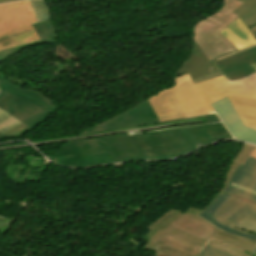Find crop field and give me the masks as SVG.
<instances>
[{"mask_svg":"<svg viewBox=\"0 0 256 256\" xmlns=\"http://www.w3.org/2000/svg\"><path fill=\"white\" fill-rule=\"evenodd\" d=\"M176 153L158 133L118 135L67 142L55 155L58 164L87 167L126 160H167Z\"/></svg>","mask_w":256,"mask_h":256,"instance_id":"1","label":"crop field"},{"mask_svg":"<svg viewBox=\"0 0 256 256\" xmlns=\"http://www.w3.org/2000/svg\"><path fill=\"white\" fill-rule=\"evenodd\" d=\"M174 82V88L187 117L213 113L209 104L225 96L256 100V74L234 83H229L221 75L196 84L185 74L175 78Z\"/></svg>","mask_w":256,"mask_h":256,"instance_id":"2","label":"crop field"},{"mask_svg":"<svg viewBox=\"0 0 256 256\" xmlns=\"http://www.w3.org/2000/svg\"><path fill=\"white\" fill-rule=\"evenodd\" d=\"M221 29L206 19L195 24L194 46L188 58L178 66L175 77L188 73L193 79L219 70L209 61L237 50L218 32Z\"/></svg>","mask_w":256,"mask_h":256,"instance_id":"3","label":"crop field"},{"mask_svg":"<svg viewBox=\"0 0 256 256\" xmlns=\"http://www.w3.org/2000/svg\"><path fill=\"white\" fill-rule=\"evenodd\" d=\"M0 108L33 128L57 106L40 92L17 87L0 74Z\"/></svg>","mask_w":256,"mask_h":256,"instance_id":"4","label":"crop field"},{"mask_svg":"<svg viewBox=\"0 0 256 256\" xmlns=\"http://www.w3.org/2000/svg\"><path fill=\"white\" fill-rule=\"evenodd\" d=\"M197 216L227 233L256 241V235L233 228L245 217L256 220V203L220 192Z\"/></svg>","mask_w":256,"mask_h":256,"instance_id":"5","label":"crop field"},{"mask_svg":"<svg viewBox=\"0 0 256 256\" xmlns=\"http://www.w3.org/2000/svg\"><path fill=\"white\" fill-rule=\"evenodd\" d=\"M29 1H18L0 5V51L39 38L31 23H36Z\"/></svg>","mask_w":256,"mask_h":256,"instance_id":"6","label":"crop field"},{"mask_svg":"<svg viewBox=\"0 0 256 256\" xmlns=\"http://www.w3.org/2000/svg\"><path fill=\"white\" fill-rule=\"evenodd\" d=\"M159 133L178 156L223 138L233 139L221 123L161 130ZM201 146H197L198 144Z\"/></svg>","mask_w":256,"mask_h":256,"instance_id":"7","label":"crop field"},{"mask_svg":"<svg viewBox=\"0 0 256 256\" xmlns=\"http://www.w3.org/2000/svg\"><path fill=\"white\" fill-rule=\"evenodd\" d=\"M201 117H205L207 123L220 121L216 114H210V115L199 116L194 118H201ZM184 119H187V118H184ZM184 119H180V120H184ZM148 123L155 124L159 122L146 99L138 103L134 107L114 117H111L101 123H98L92 126L91 128L81 132L80 135L104 131V130L140 125V124H148Z\"/></svg>","mask_w":256,"mask_h":256,"instance_id":"8","label":"crop field"},{"mask_svg":"<svg viewBox=\"0 0 256 256\" xmlns=\"http://www.w3.org/2000/svg\"><path fill=\"white\" fill-rule=\"evenodd\" d=\"M169 225L174 226L169 233L198 243L202 246L209 240L216 227L208 224L199 217L184 213Z\"/></svg>","mask_w":256,"mask_h":256,"instance_id":"9","label":"crop field"},{"mask_svg":"<svg viewBox=\"0 0 256 256\" xmlns=\"http://www.w3.org/2000/svg\"><path fill=\"white\" fill-rule=\"evenodd\" d=\"M213 62L230 81L244 79L256 72L251 66L256 64V47Z\"/></svg>","mask_w":256,"mask_h":256,"instance_id":"10","label":"crop field"},{"mask_svg":"<svg viewBox=\"0 0 256 256\" xmlns=\"http://www.w3.org/2000/svg\"><path fill=\"white\" fill-rule=\"evenodd\" d=\"M211 106L235 139L256 145V131L243 125L227 97Z\"/></svg>","mask_w":256,"mask_h":256,"instance_id":"11","label":"crop field"},{"mask_svg":"<svg viewBox=\"0 0 256 256\" xmlns=\"http://www.w3.org/2000/svg\"><path fill=\"white\" fill-rule=\"evenodd\" d=\"M148 100L160 122L186 117L173 87Z\"/></svg>","mask_w":256,"mask_h":256,"instance_id":"12","label":"crop field"},{"mask_svg":"<svg viewBox=\"0 0 256 256\" xmlns=\"http://www.w3.org/2000/svg\"><path fill=\"white\" fill-rule=\"evenodd\" d=\"M231 182L256 190V159L249 156L243 166L239 165L232 179L224 189L226 193L256 202V195L229 186Z\"/></svg>","mask_w":256,"mask_h":256,"instance_id":"13","label":"crop field"},{"mask_svg":"<svg viewBox=\"0 0 256 256\" xmlns=\"http://www.w3.org/2000/svg\"><path fill=\"white\" fill-rule=\"evenodd\" d=\"M207 244L235 256H251L256 247L255 241L238 238L219 229H216Z\"/></svg>","mask_w":256,"mask_h":256,"instance_id":"14","label":"crop field"},{"mask_svg":"<svg viewBox=\"0 0 256 256\" xmlns=\"http://www.w3.org/2000/svg\"><path fill=\"white\" fill-rule=\"evenodd\" d=\"M171 228L172 226L167 225L164 229H160L157 233L155 232L156 234L149 239L143 249L150 250L158 243L186 254L197 256L203 247L167 233Z\"/></svg>","mask_w":256,"mask_h":256,"instance_id":"15","label":"crop field"},{"mask_svg":"<svg viewBox=\"0 0 256 256\" xmlns=\"http://www.w3.org/2000/svg\"><path fill=\"white\" fill-rule=\"evenodd\" d=\"M219 32L237 49L256 43V40L254 39L255 37L253 38L249 29L244 25L239 17Z\"/></svg>","mask_w":256,"mask_h":256,"instance_id":"16","label":"crop field"},{"mask_svg":"<svg viewBox=\"0 0 256 256\" xmlns=\"http://www.w3.org/2000/svg\"><path fill=\"white\" fill-rule=\"evenodd\" d=\"M244 124L256 130V101L228 97Z\"/></svg>","mask_w":256,"mask_h":256,"instance_id":"17","label":"crop field"},{"mask_svg":"<svg viewBox=\"0 0 256 256\" xmlns=\"http://www.w3.org/2000/svg\"><path fill=\"white\" fill-rule=\"evenodd\" d=\"M241 4L243 3L238 0H225L223 7L216 14L206 19L224 28L238 17L232 12Z\"/></svg>","mask_w":256,"mask_h":256,"instance_id":"18","label":"crop field"},{"mask_svg":"<svg viewBox=\"0 0 256 256\" xmlns=\"http://www.w3.org/2000/svg\"><path fill=\"white\" fill-rule=\"evenodd\" d=\"M36 33L38 34L41 41L38 42H32L27 45L21 46V48L41 44V43H55L56 42V36L54 32V26L51 22V20L40 23V24H32Z\"/></svg>","mask_w":256,"mask_h":256,"instance_id":"19","label":"crop field"},{"mask_svg":"<svg viewBox=\"0 0 256 256\" xmlns=\"http://www.w3.org/2000/svg\"><path fill=\"white\" fill-rule=\"evenodd\" d=\"M183 211L180 210H174L171 209L168 212H166L164 215L159 217L157 220H155L153 223H151L148 228L150 231L146 233L141 238L148 241V239L157 232L160 228H164L169 222H171L173 219H175L177 216L181 215Z\"/></svg>","mask_w":256,"mask_h":256,"instance_id":"20","label":"crop field"},{"mask_svg":"<svg viewBox=\"0 0 256 256\" xmlns=\"http://www.w3.org/2000/svg\"><path fill=\"white\" fill-rule=\"evenodd\" d=\"M244 4L233 13L238 15L246 26L256 21V0H240Z\"/></svg>","mask_w":256,"mask_h":256,"instance_id":"21","label":"crop field"},{"mask_svg":"<svg viewBox=\"0 0 256 256\" xmlns=\"http://www.w3.org/2000/svg\"><path fill=\"white\" fill-rule=\"evenodd\" d=\"M255 148V146L252 145H248V144H244V146L241 148V150L238 152L235 160L233 161L227 177H226V181H225V186L228 183V181L230 180L233 172L235 171V169L238 167L239 164L243 165L244 162L246 161V159L248 158L250 152ZM224 189V188H223ZM223 189L221 191H223Z\"/></svg>","mask_w":256,"mask_h":256,"instance_id":"22","label":"crop field"},{"mask_svg":"<svg viewBox=\"0 0 256 256\" xmlns=\"http://www.w3.org/2000/svg\"><path fill=\"white\" fill-rule=\"evenodd\" d=\"M35 12L38 22L50 19L49 9L44 0H29Z\"/></svg>","mask_w":256,"mask_h":256,"instance_id":"23","label":"crop field"},{"mask_svg":"<svg viewBox=\"0 0 256 256\" xmlns=\"http://www.w3.org/2000/svg\"><path fill=\"white\" fill-rule=\"evenodd\" d=\"M19 123L15 118L0 110V133H5Z\"/></svg>","mask_w":256,"mask_h":256,"instance_id":"24","label":"crop field"},{"mask_svg":"<svg viewBox=\"0 0 256 256\" xmlns=\"http://www.w3.org/2000/svg\"><path fill=\"white\" fill-rule=\"evenodd\" d=\"M31 128L26 126L25 124L21 123L18 126L14 127L10 131L6 132L5 134H0V139L7 138V137H18L26 133Z\"/></svg>","mask_w":256,"mask_h":256,"instance_id":"25","label":"crop field"},{"mask_svg":"<svg viewBox=\"0 0 256 256\" xmlns=\"http://www.w3.org/2000/svg\"><path fill=\"white\" fill-rule=\"evenodd\" d=\"M199 256H232L221 250H218L212 246L205 245V247L200 252Z\"/></svg>","mask_w":256,"mask_h":256,"instance_id":"26","label":"crop field"},{"mask_svg":"<svg viewBox=\"0 0 256 256\" xmlns=\"http://www.w3.org/2000/svg\"><path fill=\"white\" fill-rule=\"evenodd\" d=\"M151 251L160 252V253L167 254V255H170V256H189V255H186L184 253H181V252H178V251H175V250L163 247V246L158 245V244H156L151 249Z\"/></svg>","mask_w":256,"mask_h":256,"instance_id":"27","label":"crop field"},{"mask_svg":"<svg viewBox=\"0 0 256 256\" xmlns=\"http://www.w3.org/2000/svg\"><path fill=\"white\" fill-rule=\"evenodd\" d=\"M236 227L256 233V222L247 218L241 220Z\"/></svg>","mask_w":256,"mask_h":256,"instance_id":"28","label":"crop field"},{"mask_svg":"<svg viewBox=\"0 0 256 256\" xmlns=\"http://www.w3.org/2000/svg\"><path fill=\"white\" fill-rule=\"evenodd\" d=\"M20 50V47L6 49L0 52V61L10 57L11 55L15 54L17 51Z\"/></svg>","mask_w":256,"mask_h":256,"instance_id":"29","label":"crop field"},{"mask_svg":"<svg viewBox=\"0 0 256 256\" xmlns=\"http://www.w3.org/2000/svg\"><path fill=\"white\" fill-rule=\"evenodd\" d=\"M218 75H221V72L218 71L216 73H213V74H210V75H207V76H204V77H201V78H198V79H194L193 82H199V81H202V80H205V79H208V78H212V77H215V76H218Z\"/></svg>","mask_w":256,"mask_h":256,"instance_id":"30","label":"crop field"},{"mask_svg":"<svg viewBox=\"0 0 256 256\" xmlns=\"http://www.w3.org/2000/svg\"><path fill=\"white\" fill-rule=\"evenodd\" d=\"M231 186L235 187V188H238V189H242V190H245V191H249V192H252L254 194H256V191H253L251 189H248V188H245L243 186H240V185H237L235 183H231Z\"/></svg>","mask_w":256,"mask_h":256,"instance_id":"31","label":"crop field"},{"mask_svg":"<svg viewBox=\"0 0 256 256\" xmlns=\"http://www.w3.org/2000/svg\"><path fill=\"white\" fill-rule=\"evenodd\" d=\"M185 212L197 215L199 212H201V210L190 208Z\"/></svg>","mask_w":256,"mask_h":256,"instance_id":"32","label":"crop field"},{"mask_svg":"<svg viewBox=\"0 0 256 256\" xmlns=\"http://www.w3.org/2000/svg\"><path fill=\"white\" fill-rule=\"evenodd\" d=\"M256 44H253V45H250V46H248V47H245V48H242V49H239L238 51H236V52H239V51H241V50H243V49H246V48H250V47H253V46H255ZM236 52H234V53H236ZM231 54H233V53H231ZM231 54H228V55H231ZM228 55H226V56H228ZM226 56H223V57H226ZM223 57H219V59H221V58H223Z\"/></svg>","mask_w":256,"mask_h":256,"instance_id":"33","label":"crop field"},{"mask_svg":"<svg viewBox=\"0 0 256 256\" xmlns=\"http://www.w3.org/2000/svg\"><path fill=\"white\" fill-rule=\"evenodd\" d=\"M251 156L255 157L256 158V149H254L251 153Z\"/></svg>","mask_w":256,"mask_h":256,"instance_id":"34","label":"crop field"},{"mask_svg":"<svg viewBox=\"0 0 256 256\" xmlns=\"http://www.w3.org/2000/svg\"><path fill=\"white\" fill-rule=\"evenodd\" d=\"M10 1H15V0H0V3H6V2H10Z\"/></svg>","mask_w":256,"mask_h":256,"instance_id":"35","label":"crop field"},{"mask_svg":"<svg viewBox=\"0 0 256 256\" xmlns=\"http://www.w3.org/2000/svg\"><path fill=\"white\" fill-rule=\"evenodd\" d=\"M156 256H167V255H163V254H159V253H157V255Z\"/></svg>","mask_w":256,"mask_h":256,"instance_id":"36","label":"crop field"},{"mask_svg":"<svg viewBox=\"0 0 256 256\" xmlns=\"http://www.w3.org/2000/svg\"><path fill=\"white\" fill-rule=\"evenodd\" d=\"M253 256H256V250H255V252H254V255Z\"/></svg>","mask_w":256,"mask_h":256,"instance_id":"37","label":"crop field"},{"mask_svg":"<svg viewBox=\"0 0 256 256\" xmlns=\"http://www.w3.org/2000/svg\"><path fill=\"white\" fill-rule=\"evenodd\" d=\"M253 67L255 68V70H256V65H253Z\"/></svg>","mask_w":256,"mask_h":256,"instance_id":"38","label":"crop field"}]
</instances>
